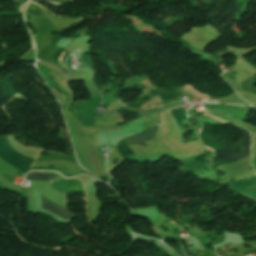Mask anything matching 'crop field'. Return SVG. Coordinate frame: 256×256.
I'll list each match as a JSON object with an SVG mask.
<instances>
[{"label": "crop field", "instance_id": "crop-field-1", "mask_svg": "<svg viewBox=\"0 0 256 256\" xmlns=\"http://www.w3.org/2000/svg\"><path fill=\"white\" fill-rule=\"evenodd\" d=\"M239 128V127H238ZM241 131V136L244 138L241 139V143L220 148L216 150V165L218 163L226 162H237L247 156H249V145H250V134L243 128H239ZM234 146H239L243 153L234 154L232 153Z\"/></svg>", "mask_w": 256, "mask_h": 256}, {"label": "crop field", "instance_id": "crop-field-2", "mask_svg": "<svg viewBox=\"0 0 256 256\" xmlns=\"http://www.w3.org/2000/svg\"><path fill=\"white\" fill-rule=\"evenodd\" d=\"M0 159L12 165L23 173H26L31 164L34 162V160L32 159L24 158L14 152L10 148L6 137L0 138Z\"/></svg>", "mask_w": 256, "mask_h": 256}, {"label": "crop field", "instance_id": "crop-field-3", "mask_svg": "<svg viewBox=\"0 0 256 256\" xmlns=\"http://www.w3.org/2000/svg\"><path fill=\"white\" fill-rule=\"evenodd\" d=\"M26 177H28L29 180H49L51 175L41 173V172H29ZM42 196H41V198H42L43 209L63 218L65 220L68 219L69 217H71L72 215H74V214L70 213L69 210L61 208V207L51 203L50 201H48L47 199H45Z\"/></svg>", "mask_w": 256, "mask_h": 256}, {"label": "crop field", "instance_id": "crop-field-4", "mask_svg": "<svg viewBox=\"0 0 256 256\" xmlns=\"http://www.w3.org/2000/svg\"><path fill=\"white\" fill-rule=\"evenodd\" d=\"M228 186L230 190L245 198L250 199L256 196V176L247 181L229 183Z\"/></svg>", "mask_w": 256, "mask_h": 256}, {"label": "crop field", "instance_id": "crop-field-5", "mask_svg": "<svg viewBox=\"0 0 256 256\" xmlns=\"http://www.w3.org/2000/svg\"><path fill=\"white\" fill-rule=\"evenodd\" d=\"M158 129H159V126H156L141 135H137V136L128 138L125 141L127 142L128 145L134 144V143L146 142V141L150 140L151 138L157 136Z\"/></svg>", "mask_w": 256, "mask_h": 256}, {"label": "crop field", "instance_id": "crop-field-6", "mask_svg": "<svg viewBox=\"0 0 256 256\" xmlns=\"http://www.w3.org/2000/svg\"><path fill=\"white\" fill-rule=\"evenodd\" d=\"M164 92L162 93L160 89L152 91L151 93L147 94V96L152 99L156 96L159 95L161 100L165 99H172V98H178L180 97V91L181 88L178 89H169V90H163Z\"/></svg>", "mask_w": 256, "mask_h": 256}, {"label": "crop field", "instance_id": "crop-field-7", "mask_svg": "<svg viewBox=\"0 0 256 256\" xmlns=\"http://www.w3.org/2000/svg\"><path fill=\"white\" fill-rule=\"evenodd\" d=\"M170 113L173 116V118L175 119L178 126H181L182 125L181 119L184 118L183 109L177 108L174 110H170Z\"/></svg>", "mask_w": 256, "mask_h": 256}, {"label": "crop field", "instance_id": "crop-field-8", "mask_svg": "<svg viewBox=\"0 0 256 256\" xmlns=\"http://www.w3.org/2000/svg\"><path fill=\"white\" fill-rule=\"evenodd\" d=\"M120 143H121L122 148L125 150L127 157L130 156V155H132V154H134V153L131 151V149L126 145L124 139L120 140Z\"/></svg>", "mask_w": 256, "mask_h": 256}, {"label": "crop field", "instance_id": "crop-field-9", "mask_svg": "<svg viewBox=\"0 0 256 256\" xmlns=\"http://www.w3.org/2000/svg\"><path fill=\"white\" fill-rule=\"evenodd\" d=\"M116 146H117L119 152L121 153L122 157H126V156H125V153H124V150L121 148L119 142H117Z\"/></svg>", "mask_w": 256, "mask_h": 256}, {"label": "crop field", "instance_id": "crop-field-10", "mask_svg": "<svg viewBox=\"0 0 256 256\" xmlns=\"http://www.w3.org/2000/svg\"><path fill=\"white\" fill-rule=\"evenodd\" d=\"M115 112H133V111L123 107Z\"/></svg>", "mask_w": 256, "mask_h": 256}, {"label": "crop field", "instance_id": "crop-field-11", "mask_svg": "<svg viewBox=\"0 0 256 256\" xmlns=\"http://www.w3.org/2000/svg\"><path fill=\"white\" fill-rule=\"evenodd\" d=\"M203 114H205V113H203ZM203 114H202V115H203ZM205 115H206V114H205ZM205 115H204V117L207 116V115H206V116H205ZM208 117H209V116H208ZM206 118H207V117H206ZM210 118H211V117H210ZM208 119H209V118H208ZM212 119H213V118H212ZM212 119H211V120H212ZM214 120H217V119H214ZM214 120H213V121H214ZM217 121H219V120H217ZM217 121H216V122H217ZM220 122H222V121H220ZM220 122H218V123H220ZM222 123H224V122H222Z\"/></svg>", "mask_w": 256, "mask_h": 256}, {"label": "crop field", "instance_id": "crop-field-12", "mask_svg": "<svg viewBox=\"0 0 256 256\" xmlns=\"http://www.w3.org/2000/svg\"><path fill=\"white\" fill-rule=\"evenodd\" d=\"M251 200L256 201V197H255V198H253V199H251Z\"/></svg>", "mask_w": 256, "mask_h": 256}]
</instances>
